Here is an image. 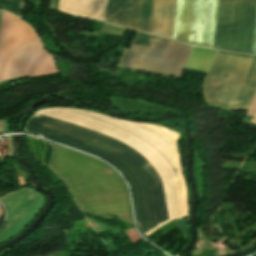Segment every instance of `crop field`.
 <instances>
[{
    "label": "crop field",
    "mask_w": 256,
    "mask_h": 256,
    "mask_svg": "<svg viewBox=\"0 0 256 256\" xmlns=\"http://www.w3.org/2000/svg\"><path fill=\"white\" fill-rule=\"evenodd\" d=\"M176 1L153 0L149 33L172 39Z\"/></svg>",
    "instance_id": "8"
},
{
    "label": "crop field",
    "mask_w": 256,
    "mask_h": 256,
    "mask_svg": "<svg viewBox=\"0 0 256 256\" xmlns=\"http://www.w3.org/2000/svg\"><path fill=\"white\" fill-rule=\"evenodd\" d=\"M0 201L8 212L6 227L0 231V242H2L15 235L29 223L45 199L39 193L28 188L3 196Z\"/></svg>",
    "instance_id": "6"
},
{
    "label": "crop field",
    "mask_w": 256,
    "mask_h": 256,
    "mask_svg": "<svg viewBox=\"0 0 256 256\" xmlns=\"http://www.w3.org/2000/svg\"><path fill=\"white\" fill-rule=\"evenodd\" d=\"M152 0H108L106 22L147 32Z\"/></svg>",
    "instance_id": "7"
},
{
    "label": "crop field",
    "mask_w": 256,
    "mask_h": 256,
    "mask_svg": "<svg viewBox=\"0 0 256 256\" xmlns=\"http://www.w3.org/2000/svg\"><path fill=\"white\" fill-rule=\"evenodd\" d=\"M57 72L54 59L43 49L35 31L27 23L3 11L0 22V82Z\"/></svg>",
    "instance_id": "4"
},
{
    "label": "crop field",
    "mask_w": 256,
    "mask_h": 256,
    "mask_svg": "<svg viewBox=\"0 0 256 256\" xmlns=\"http://www.w3.org/2000/svg\"><path fill=\"white\" fill-rule=\"evenodd\" d=\"M22 0H0V10H7L20 16Z\"/></svg>",
    "instance_id": "12"
},
{
    "label": "crop field",
    "mask_w": 256,
    "mask_h": 256,
    "mask_svg": "<svg viewBox=\"0 0 256 256\" xmlns=\"http://www.w3.org/2000/svg\"><path fill=\"white\" fill-rule=\"evenodd\" d=\"M151 39L181 44L137 32L123 66H125L132 45L148 47ZM154 40L151 41L149 48L133 46L125 67L178 77L190 48L187 47L189 45L181 46L185 44L176 45Z\"/></svg>",
    "instance_id": "5"
},
{
    "label": "crop field",
    "mask_w": 256,
    "mask_h": 256,
    "mask_svg": "<svg viewBox=\"0 0 256 256\" xmlns=\"http://www.w3.org/2000/svg\"><path fill=\"white\" fill-rule=\"evenodd\" d=\"M124 31H125V28H121V27H118V26H114V25H111V24L104 23V25L101 28L99 33H95V32L90 33V32L82 31L81 34L89 35V36H96V37H100L102 35L121 37L123 35Z\"/></svg>",
    "instance_id": "11"
},
{
    "label": "crop field",
    "mask_w": 256,
    "mask_h": 256,
    "mask_svg": "<svg viewBox=\"0 0 256 256\" xmlns=\"http://www.w3.org/2000/svg\"><path fill=\"white\" fill-rule=\"evenodd\" d=\"M38 113L98 130L130 144L158 171L165 187L169 220L188 216L179 132L75 108H47ZM38 113L31 118L27 131L97 155L123 174L132 188L136 222L145 237L169 222L162 181L143 155L128 144L98 131Z\"/></svg>",
    "instance_id": "1"
},
{
    "label": "crop field",
    "mask_w": 256,
    "mask_h": 256,
    "mask_svg": "<svg viewBox=\"0 0 256 256\" xmlns=\"http://www.w3.org/2000/svg\"><path fill=\"white\" fill-rule=\"evenodd\" d=\"M256 83V56L217 50L202 83L207 105L245 109ZM256 86L246 109L249 108Z\"/></svg>",
    "instance_id": "3"
},
{
    "label": "crop field",
    "mask_w": 256,
    "mask_h": 256,
    "mask_svg": "<svg viewBox=\"0 0 256 256\" xmlns=\"http://www.w3.org/2000/svg\"><path fill=\"white\" fill-rule=\"evenodd\" d=\"M107 0H59L58 10L104 21Z\"/></svg>",
    "instance_id": "9"
},
{
    "label": "crop field",
    "mask_w": 256,
    "mask_h": 256,
    "mask_svg": "<svg viewBox=\"0 0 256 256\" xmlns=\"http://www.w3.org/2000/svg\"><path fill=\"white\" fill-rule=\"evenodd\" d=\"M251 54H256V18H255V26H254V34H253Z\"/></svg>",
    "instance_id": "13"
},
{
    "label": "crop field",
    "mask_w": 256,
    "mask_h": 256,
    "mask_svg": "<svg viewBox=\"0 0 256 256\" xmlns=\"http://www.w3.org/2000/svg\"><path fill=\"white\" fill-rule=\"evenodd\" d=\"M1 13H2V11H0V17H1Z\"/></svg>",
    "instance_id": "14"
},
{
    "label": "crop field",
    "mask_w": 256,
    "mask_h": 256,
    "mask_svg": "<svg viewBox=\"0 0 256 256\" xmlns=\"http://www.w3.org/2000/svg\"><path fill=\"white\" fill-rule=\"evenodd\" d=\"M217 0H178L174 40L212 45ZM256 0H218L212 48L250 54Z\"/></svg>",
    "instance_id": "2"
},
{
    "label": "crop field",
    "mask_w": 256,
    "mask_h": 256,
    "mask_svg": "<svg viewBox=\"0 0 256 256\" xmlns=\"http://www.w3.org/2000/svg\"><path fill=\"white\" fill-rule=\"evenodd\" d=\"M215 51L213 49L194 47L184 69L206 73Z\"/></svg>",
    "instance_id": "10"
}]
</instances>
